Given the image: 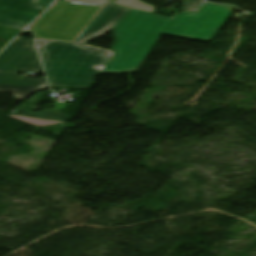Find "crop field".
Wrapping results in <instances>:
<instances>
[{
  "instance_id": "obj_6",
  "label": "crop field",
  "mask_w": 256,
  "mask_h": 256,
  "mask_svg": "<svg viewBox=\"0 0 256 256\" xmlns=\"http://www.w3.org/2000/svg\"><path fill=\"white\" fill-rule=\"evenodd\" d=\"M129 8L121 7L114 3H106L93 20L81 32L76 43L83 44L91 40L96 34L107 33L112 30L126 15Z\"/></svg>"
},
{
  "instance_id": "obj_9",
  "label": "crop field",
  "mask_w": 256,
  "mask_h": 256,
  "mask_svg": "<svg viewBox=\"0 0 256 256\" xmlns=\"http://www.w3.org/2000/svg\"><path fill=\"white\" fill-rule=\"evenodd\" d=\"M114 3L120 4L123 6H127V7H132V8L148 11V12H153L155 9V7L146 5L142 2H140L139 0H117Z\"/></svg>"
},
{
  "instance_id": "obj_1",
  "label": "crop field",
  "mask_w": 256,
  "mask_h": 256,
  "mask_svg": "<svg viewBox=\"0 0 256 256\" xmlns=\"http://www.w3.org/2000/svg\"><path fill=\"white\" fill-rule=\"evenodd\" d=\"M230 9L204 3L198 12L174 19L132 10L113 30L114 54L102 73L137 71L163 33L210 41L233 13Z\"/></svg>"
},
{
  "instance_id": "obj_4",
  "label": "crop field",
  "mask_w": 256,
  "mask_h": 256,
  "mask_svg": "<svg viewBox=\"0 0 256 256\" xmlns=\"http://www.w3.org/2000/svg\"><path fill=\"white\" fill-rule=\"evenodd\" d=\"M40 71L32 38H18L0 53V72Z\"/></svg>"
},
{
  "instance_id": "obj_5",
  "label": "crop field",
  "mask_w": 256,
  "mask_h": 256,
  "mask_svg": "<svg viewBox=\"0 0 256 256\" xmlns=\"http://www.w3.org/2000/svg\"><path fill=\"white\" fill-rule=\"evenodd\" d=\"M45 9L40 0H0V25L23 30Z\"/></svg>"
},
{
  "instance_id": "obj_3",
  "label": "crop field",
  "mask_w": 256,
  "mask_h": 256,
  "mask_svg": "<svg viewBox=\"0 0 256 256\" xmlns=\"http://www.w3.org/2000/svg\"><path fill=\"white\" fill-rule=\"evenodd\" d=\"M101 7L57 1L30 29L39 39L74 42Z\"/></svg>"
},
{
  "instance_id": "obj_8",
  "label": "crop field",
  "mask_w": 256,
  "mask_h": 256,
  "mask_svg": "<svg viewBox=\"0 0 256 256\" xmlns=\"http://www.w3.org/2000/svg\"><path fill=\"white\" fill-rule=\"evenodd\" d=\"M64 108L62 106H55L52 110H45L35 114L18 107L9 114V117L34 126H51L58 123L66 124L71 119V116L62 114Z\"/></svg>"
},
{
  "instance_id": "obj_7",
  "label": "crop field",
  "mask_w": 256,
  "mask_h": 256,
  "mask_svg": "<svg viewBox=\"0 0 256 256\" xmlns=\"http://www.w3.org/2000/svg\"><path fill=\"white\" fill-rule=\"evenodd\" d=\"M44 87V78H18L16 74H0V92L13 93L17 99H25Z\"/></svg>"
},
{
  "instance_id": "obj_12",
  "label": "crop field",
  "mask_w": 256,
  "mask_h": 256,
  "mask_svg": "<svg viewBox=\"0 0 256 256\" xmlns=\"http://www.w3.org/2000/svg\"><path fill=\"white\" fill-rule=\"evenodd\" d=\"M53 1L54 0H41L42 4L46 7H49Z\"/></svg>"
},
{
  "instance_id": "obj_2",
  "label": "crop field",
  "mask_w": 256,
  "mask_h": 256,
  "mask_svg": "<svg viewBox=\"0 0 256 256\" xmlns=\"http://www.w3.org/2000/svg\"><path fill=\"white\" fill-rule=\"evenodd\" d=\"M37 42L50 87L90 89L100 72L93 67L104 65L109 58L104 50L85 49L76 43Z\"/></svg>"
},
{
  "instance_id": "obj_10",
  "label": "crop field",
  "mask_w": 256,
  "mask_h": 256,
  "mask_svg": "<svg viewBox=\"0 0 256 256\" xmlns=\"http://www.w3.org/2000/svg\"><path fill=\"white\" fill-rule=\"evenodd\" d=\"M203 0H183V11L196 10Z\"/></svg>"
},
{
  "instance_id": "obj_11",
  "label": "crop field",
  "mask_w": 256,
  "mask_h": 256,
  "mask_svg": "<svg viewBox=\"0 0 256 256\" xmlns=\"http://www.w3.org/2000/svg\"><path fill=\"white\" fill-rule=\"evenodd\" d=\"M65 1H73V2H81V3H89V4H97L104 5L107 0H65Z\"/></svg>"
}]
</instances>
